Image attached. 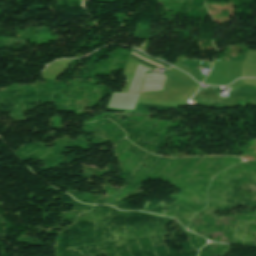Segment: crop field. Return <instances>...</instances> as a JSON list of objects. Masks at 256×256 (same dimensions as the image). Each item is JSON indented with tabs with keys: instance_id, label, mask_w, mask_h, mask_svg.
<instances>
[{
	"instance_id": "obj_1",
	"label": "crop field",
	"mask_w": 256,
	"mask_h": 256,
	"mask_svg": "<svg viewBox=\"0 0 256 256\" xmlns=\"http://www.w3.org/2000/svg\"><path fill=\"white\" fill-rule=\"evenodd\" d=\"M132 52H134V53H136V54H138V55H140V56H142V57H145V58H147V59H150V60H152V61H154V62H156V63H158V64H160V65H163V66H166V67H169V66H170V65H168V64H166V63H163V62H161V61H158V60H156V59H153V58H151V57H149V56H147V55H145V54H143V53H141V52H139V51H137V50H135V49H133ZM134 53H132V54H134ZM132 54H131L130 58H132V59H134V60H136V61H138V62H140V63H142V64H145V65H147V66H149V67H151V68H153V69H155L156 66L163 67V66L157 65V64H155V63H153V62H151V61H149V60H147V59H145V58H142V57H140V56L134 54V55H136V56H138V57H140V58H142V59H144V60H146V61H148V62L154 64V65H156V66H154V65H152V64H150V63H148V62H146V61H144V60H142V59H140V58H138V57H136V56H134V55H132Z\"/></svg>"
}]
</instances>
